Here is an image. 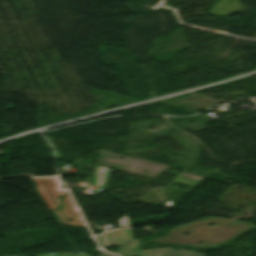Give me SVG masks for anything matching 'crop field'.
<instances>
[{
	"label": "crop field",
	"instance_id": "8a807250",
	"mask_svg": "<svg viewBox=\"0 0 256 256\" xmlns=\"http://www.w3.org/2000/svg\"><path fill=\"white\" fill-rule=\"evenodd\" d=\"M96 238L102 249L134 240L130 228L102 231V234L96 235Z\"/></svg>",
	"mask_w": 256,
	"mask_h": 256
},
{
	"label": "crop field",
	"instance_id": "ac0d7876",
	"mask_svg": "<svg viewBox=\"0 0 256 256\" xmlns=\"http://www.w3.org/2000/svg\"><path fill=\"white\" fill-rule=\"evenodd\" d=\"M141 256H203L189 251H172L171 248L140 251Z\"/></svg>",
	"mask_w": 256,
	"mask_h": 256
},
{
	"label": "crop field",
	"instance_id": "34b2d1b8",
	"mask_svg": "<svg viewBox=\"0 0 256 256\" xmlns=\"http://www.w3.org/2000/svg\"><path fill=\"white\" fill-rule=\"evenodd\" d=\"M42 179L45 182L46 186L48 187L56 204L58 205V207H60L61 204H60L58 198L56 197V195H62L68 191L59 189V187H61L62 184L59 182V180L56 178V176L42 177Z\"/></svg>",
	"mask_w": 256,
	"mask_h": 256
},
{
	"label": "crop field",
	"instance_id": "412701ff",
	"mask_svg": "<svg viewBox=\"0 0 256 256\" xmlns=\"http://www.w3.org/2000/svg\"><path fill=\"white\" fill-rule=\"evenodd\" d=\"M139 245H140V239L128 243H124L119 245L117 249V253L121 255H138L139 254Z\"/></svg>",
	"mask_w": 256,
	"mask_h": 256
},
{
	"label": "crop field",
	"instance_id": "f4fd0767",
	"mask_svg": "<svg viewBox=\"0 0 256 256\" xmlns=\"http://www.w3.org/2000/svg\"><path fill=\"white\" fill-rule=\"evenodd\" d=\"M32 179L34 180L35 184L37 185V187H38L37 191L40 194V196L42 197V199L44 200V202L46 203L49 210L56 209L48 191L44 187V185L41 182V180L39 179V177H32Z\"/></svg>",
	"mask_w": 256,
	"mask_h": 256
},
{
	"label": "crop field",
	"instance_id": "dd49c442",
	"mask_svg": "<svg viewBox=\"0 0 256 256\" xmlns=\"http://www.w3.org/2000/svg\"><path fill=\"white\" fill-rule=\"evenodd\" d=\"M118 222L120 227L130 226L127 216L121 218L120 220H118Z\"/></svg>",
	"mask_w": 256,
	"mask_h": 256
},
{
	"label": "crop field",
	"instance_id": "e52e79f7",
	"mask_svg": "<svg viewBox=\"0 0 256 256\" xmlns=\"http://www.w3.org/2000/svg\"><path fill=\"white\" fill-rule=\"evenodd\" d=\"M98 256H111V255L108 254V253L99 252V255H98ZM113 256H116V255H113Z\"/></svg>",
	"mask_w": 256,
	"mask_h": 256
},
{
	"label": "crop field",
	"instance_id": "d8731c3e",
	"mask_svg": "<svg viewBox=\"0 0 256 256\" xmlns=\"http://www.w3.org/2000/svg\"><path fill=\"white\" fill-rule=\"evenodd\" d=\"M69 256H89V255H85V254H81V253H79V254H77V255H74V253H72V254H70Z\"/></svg>",
	"mask_w": 256,
	"mask_h": 256
},
{
	"label": "crop field",
	"instance_id": "5a996713",
	"mask_svg": "<svg viewBox=\"0 0 256 256\" xmlns=\"http://www.w3.org/2000/svg\"><path fill=\"white\" fill-rule=\"evenodd\" d=\"M68 254H62V255H49V256H67Z\"/></svg>",
	"mask_w": 256,
	"mask_h": 256
}]
</instances>
